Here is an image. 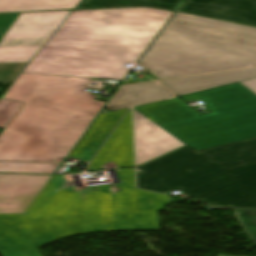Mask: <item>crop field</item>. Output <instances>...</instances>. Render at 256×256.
<instances>
[{
  "instance_id": "crop-field-1",
  "label": "crop field",
  "mask_w": 256,
  "mask_h": 256,
  "mask_svg": "<svg viewBox=\"0 0 256 256\" xmlns=\"http://www.w3.org/2000/svg\"><path fill=\"white\" fill-rule=\"evenodd\" d=\"M173 12H71L23 72L123 80Z\"/></svg>"
},
{
  "instance_id": "crop-field-2",
  "label": "crop field",
  "mask_w": 256,
  "mask_h": 256,
  "mask_svg": "<svg viewBox=\"0 0 256 256\" xmlns=\"http://www.w3.org/2000/svg\"><path fill=\"white\" fill-rule=\"evenodd\" d=\"M90 80L21 73L2 97L26 103L0 134V160L65 158L104 104L84 92Z\"/></svg>"
},
{
  "instance_id": "crop-field-3",
  "label": "crop field",
  "mask_w": 256,
  "mask_h": 256,
  "mask_svg": "<svg viewBox=\"0 0 256 256\" xmlns=\"http://www.w3.org/2000/svg\"><path fill=\"white\" fill-rule=\"evenodd\" d=\"M139 62L158 79L256 66V28L176 12Z\"/></svg>"
},
{
  "instance_id": "crop-field-4",
  "label": "crop field",
  "mask_w": 256,
  "mask_h": 256,
  "mask_svg": "<svg viewBox=\"0 0 256 256\" xmlns=\"http://www.w3.org/2000/svg\"><path fill=\"white\" fill-rule=\"evenodd\" d=\"M179 98L200 99L213 113L199 116L176 98L134 108L196 151L256 137V95L241 84Z\"/></svg>"
},
{
  "instance_id": "crop-field-5",
  "label": "crop field",
  "mask_w": 256,
  "mask_h": 256,
  "mask_svg": "<svg viewBox=\"0 0 256 256\" xmlns=\"http://www.w3.org/2000/svg\"><path fill=\"white\" fill-rule=\"evenodd\" d=\"M139 169V188L160 193L179 190L214 208L256 209L255 192L187 147Z\"/></svg>"
},
{
  "instance_id": "crop-field-6",
  "label": "crop field",
  "mask_w": 256,
  "mask_h": 256,
  "mask_svg": "<svg viewBox=\"0 0 256 256\" xmlns=\"http://www.w3.org/2000/svg\"><path fill=\"white\" fill-rule=\"evenodd\" d=\"M71 11L0 14V82H14Z\"/></svg>"
},
{
  "instance_id": "crop-field-7",
  "label": "crop field",
  "mask_w": 256,
  "mask_h": 256,
  "mask_svg": "<svg viewBox=\"0 0 256 256\" xmlns=\"http://www.w3.org/2000/svg\"><path fill=\"white\" fill-rule=\"evenodd\" d=\"M199 154L256 192V138Z\"/></svg>"
},
{
  "instance_id": "crop-field-8",
  "label": "crop field",
  "mask_w": 256,
  "mask_h": 256,
  "mask_svg": "<svg viewBox=\"0 0 256 256\" xmlns=\"http://www.w3.org/2000/svg\"><path fill=\"white\" fill-rule=\"evenodd\" d=\"M52 176L0 174V214H26Z\"/></svg>"
},
{
  "instance_id": "crop-field-9",
  "label": "crop field",
  "mask_w": 256,
  "mask_h": 256,
  "mask_svg": "<svg viewBox=\"0 0 256 256\" xmlns=\"http://www.w3.org/2000/svg\"><path fill=\"white\" fill-rule=\"evenodd\" d=\"M137 166L162 154L185 146L179 140L133 109Z\"/></svg>"
},
{
  "instance_id": "crop-field-10",
  "label": "crop field",
  "mask_w": 256,
  "mask_h": 256,
  "mask_svg": "<svg viewBox=\"0 0 256 256\" xmlns=\"http://www.w3.org/2000/svg\"><path fill=\"white\" fill-rule=\"evenodd\" d=\"M178 10L256 27V0H185Z\"/></svg>"
},
{
  "instance_id": "crop-field-11",
  "label": "crop field",
  "mask_w": 256,
  "mask_h": 256,
  "mask_svg": "<svg viewBox=\"0 0 256 256\" xmlns=\"http://www.w3.org/2000/svg\"><path fill=\"white\" fill-rule=\"evenodd\" d=\"M252 78H256V68L165 80L159 83L180 96Z\"/></svg>"
},
{
  "instance_id": "crop-field-12",
  "label": "crop field",
  "mask_w": 256,
  "mask_h": 256,
  "mask_svg": "<svg viewBox=\"0 0 256 256\" xmlns=\"http://www.w3.org/2000/svg\"><path fill=\"white\" fill-rule=\"evenodd\" d=\"M171 94L155 82L120 87L105 108L116 111L130 105L151 102L170 97Z\"/></svg>"
},
{
  "instance_id": "crop-field-13",
  "label": "crop field",
  "mask_w": 256,
  "mask_h": 256,
  "mask_svg": "<svg viewBox=\"0 0 256 256\" xmlns=\"http://www.w3.org/2000/svg\"><path fill=\"white\" fill-rule=\"evenodd\" d=\"M81 0H0V13L73 9Z\"/></svg>"
},
{
  "instance_id": "crop-field-14",
  "label": "crop field",
  "mask_w": 256,
  "mask_h": 256,
  "mask_svg": "<svg viewBox=\"0 0 256 256\" xmlns=\"http://www.w3.org/2000/svg\"><path fill=\"white\" fill-rule=\"evenodd\" d=\"M182 0H82L75 10L146 6L175 10Z\"/></svg>"
},
{
  "instance_id": "crop-field-15",
  "label": "crop field",
  "mask_w": 256,
  "mask_h": 256,
  "mask_svg": "<svg viewBox=\"0 0 256 256\" xmlns=\"http://www.w3.org/2000/svg\"><path fill=\"white\" fill-rule=\"evenodd\" d=\"M58 164L0 162V173L53 174Z\"/></svg>"
},
{
  "instance_id": "crop-field-16",
  "label": "crop field",
  "mask_w": 256,
  "mask_h": 256,
  "mask_svg": "<svg viewBox=\"0 0 256 256\" xmlns=\"http://www.w3.org/2000/svg\"><path fill=\"white\" fill-rule=\"evenodd\" d=\"M239 224L256 244V210L233 211Z\"/></svg>"
},
{
  "instance_id": "crop-field-17",
  "label": "crop field",
  "mask_w": 256,
  "mask_h": 256,
  "mask_svg": "<svg viewBox=\"0 0 256 256\" xmlns=\"http://www.w3.org/2000/svg\"><path fill=\"white\" fill-rule=\"evenodd\" d=\"M24 103L0 99V128L4 129Z\"/></svg>"
},
{
  "instance_id": "crop-field-18",
  "label": "crop field",
  "mask_w": 256,
  "mask_h": 256,
  "mask_svg": "<svg viewBox=\"0 0 256 256\" xmlns=\"http://www.w3.org/2000/svg\"><path fill=\"white\" fill-rule=\"evenodd\" d=\"M240 83L256 94V79H252V80H248Z\"/></svg>"
}]
</instances>
